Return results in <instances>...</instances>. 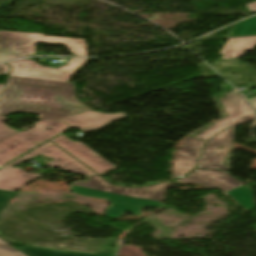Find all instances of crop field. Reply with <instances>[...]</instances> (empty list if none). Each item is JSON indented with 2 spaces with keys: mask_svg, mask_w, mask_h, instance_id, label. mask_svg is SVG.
I'll return each mask as SVG.
<instances>
[{
  "mask_svg": "<svg viewBox=\"0 0 256 256\" xmlns=\"http://www.w3.org/2000/svg\"><path fill=\"white\" fill-rule=\"evenodd\" d=\"M74 84L9 76L0 99V115L39 114L38 119L54 121L87 111L74 98Z\"/></svg>",
  "mask_w": 256,
  "mask_h": 256,
  "instance_id": "crop-field-1",
  "label": "crop field"
},
{
  "mask_svg": "<svg viewBox=\"0 0 256 256\" xmlns=\"http://www.w3.org/2000/svg\"><path fill=\"white\" fill-rule=\"evenodd\" d=\"M87 182L71 183V191L94 198L106 199L111 203L105 212L106 217L116 219L125 212L141 216L142 208H162L166 184H156L137 188L113 186L99 176L89 177Z\"/></svg>",
  "mask_w": 256,
  "mask_h": 256,
  "instance_id": "crop-field-2",
  "label": "crop field"
},
{
  "mask_svg": "<svg viewBox=\"0 0 256 256\" xmlns=\"http://www.w3.org/2000/svg\"><path fill=\"white\" fill-rule=\"evenodd\" d=\"M34 43L67 45L69 51L77 56H87L84 39L45 37L42 34L0 31V62L28 57L34 54Z\"/></svg>",
  "mask_w": 256,
  "mask_h": 256,
  "instance_id": "crop-field-3",
  "label": "crop field"
},
{
  "mask_svg": "<svg viewBox=\"0 0 256 256\" xmlns=\"http://www.w3.org/2000/svg\"><path fill=\"white\" fill-rule=\"evenodd\" d=\"M70 128L63 121H39L32 130L18 132L0 142V167L29 149Z\"/></svg>",
  "mask_w": 256,
  "mask_h": 256,
  "instance_id": "crop-field-4",
  "label": "crop field"
},
{
  "mask_svg": "<svg viewBox=\"0 0 256 256\" xmlns=\"http://www.w3.org/2000/svg\"><path fill=\"white\" fill-rule=\"evenodd\" d=\"M225 95L227 98L219 99V101L229 116L196 136L197 138L207 140L228 126L235 129L239 125L256 118L242 94L229 93Z\"/></svg>",
  "mask_w": 256,
  "mask_h": 256,
  "instance_id": "crop-field-5",
  "label": "crop field"
},
{
  "mask_svg": "<svg viewBox=\"0 0 256 256\" xmlns=\"http://www.w3.org/2000/svg\"><path fill=\"white\" fill-rule=\"evenodd\" d=\"M89 59H72L65 64L67 66H61L58 69H49L36 64L30 60H20L15 62H9L12 67L10 75L34 77L50 80L66 81L73 76L76 69L85 64Z\"/></svg>",
  "mask_w": 256,
  "mask_h": 256,
  "instance_id": "crop-field-6",
  "label": "crop field"
},
{
  "mask_svg": "<svg viewBox=\"0 0 256 256\" xmlns=\"http://www.w3.org/2000/svg\"><path fill=\"white\" fill-rule=\"evenodd\" d=\"M44 155L46 158L50 159L52 158L54 161L47 164L48 166L54 168L59 167L63 171H66L68 173H76L84 176H92L95 175L93 172H91L89 169H87L85 166H83L81 163L73 159L71 156H69L67 153L63 152L61 149H59L57 146L52 144L51 142H47L31 151L26 153L25 155L21 156L17 160L13 161L9 165L5 166L4 168H10L14 167L38 154Z\"/></svg>",
  "mask_w": 256,
  "mask_h": 256,
  "instance_id": "crop-field-7",
  "label": "crop field"
},
{
  "mask_svg": "<svg viewBox=\"0 0 256 256\" xmlns=\"http://www.w3.org/2000/svg\"><path fill=\"white\" fill-rule=\"evenodd\" d=\"M234 130L226 129L207 142L196 168L228 170L223 163L233 145ZM222 147L219 149L218 147Z\"/></svg>",
  "mask_w": 256,
  "mask_h": 256,
  "instance_id": "crop-field-8",
  "label": "crop field"
},
{
  "mask_svg": "<svg viewBox=\"0 0 256 256\" xmlns=\"http://www.w3.org/2000/svg\"><path fill=\"white\" fill-rule=\"evenodd\" d=\"M51 141L99 174L116 169V167L80 142H73L62 135Z\"/></svg>",
  "mask_w": 256,
  "mask_h": 256,
  "instance_id": "crop-field-9",
  "label": "crop field"
},
{
  "mask_svg": "<svg viewBox=\"0 0 256 256\" xmlns=\"http://www.w3.org/2000/svg\"><path fill=\"white\" fill-rule=\"evenodd\" d=\"M205 144V141L199 139L185 138L174 159L173 180L181 178L195 169Z\"/></svg>",
  "mask_w": 256,
  "mask_h": 256,
  "instance_id": "crop-field-10",
  "label": "crop field"
},
{
  "mask_svg": "<svg viewBox=\"0 0 256 256\" xmlns=\"http://www.w3.org/2000/svg\"><path fill=\"white\" fill-rule=\"evenodd\" d=\"M175 182H191L202 184L207 188H220L223 191L230 190L240 184L228 171L194 170L187 176L175 180Z\"/></svg>",
  "mask_w": 256,
  "mask_h": 256,
  "instance_id": "crop-field-11",
  "label": "crop field"
},
{
  "mask_svg": "<svg viewBox=\"0 0 256 256\" xmlns=\"http://www.w3.org/2000/svg\"><path fill=\"white\" fill-rule=\"evenodd\" d=\"M124 117H127L124 113L102 114L88 111L63 119V121L69 126L87 133L102 128L110 122Z\"/></svg>",
  "mask_w": 256,
  "mask_h": 256,
  "instance_id": "crop-field-12",
  "label": "crop field"
},
{
  "mask_svg": "<svg viewBox=\"0 0 256 256\" xmlns=\"http://www.w3.org/2000/svg\"><path fill=\"white\" fill-rule=\"evenodd\" d=\"M39 174H28L21 168L0 170V189L16 192L38 178Z\"/></svg>",
  "mask_w": 256,
  "mask_h": 256,
  "instance_id": "crop-field-13",
  "label": "crop field"
},
{
  "mask_svg": "<svg viewBox=\"0 0 256 256\" xmlns=\"http://www.w3.org/2000/svg\"><path fill=\"white\" fill-rule=\"evenodd\" d=\"M256 47V37L228 39L221 54H225L223 59L243 56L245 51H254Z\"/></svg>",
  "mask_w": 256,
  "mask_h": 256,
  "instance_id": "crop-field-14",
  "label": "crop field"
},
{
  "mask_svg": "<svg viewBox=\"0 0 256 256\" xmlns=\"http://www.w3.org/2000/svg\"><path fill=\"white\" fill-rule=\"evenodd\" d=\"M21 251L25 252L29 256H114L112 254H100V255H89L76 252L62 251V250H53V249H44L26 246Z\"/></svg>",
  "mask_w": 256,
  "mask_h": 256,
  "instance_id": "crop-field-15",
  "label": "crop field"
},
{
  "mask_svg": "<svg viewBox=\"0 0 256 256\" xmlns=\"http://www.w3.org/2000/svg\"><path fill=\"white\" fill-rule=\"evenodd\" d=\"M225 194L236 201L243 209H254L252 194L247 186H242Z\"/></svg>",
  "mask_w": 256,
  "mask_h": 256,
  "instance_id": "crop-field-16",
  "label": "crop field"
},
{
  "mask_svg": "<svg viewBox=\"0 0 256 256\" xmlns=\"http://www.w3.org/2000/svg\"><path fill=\"white\" fill-rule=\"evenodd\" d=\"M256 35V16L237 23L229 37Z\"/></svg>",
  "mask_w": 256,
  "mask_h": 256,
  "instance_id": "crop-field-17",
  "label": "crop field"
},
{
  "mask_svg": "<svg viewBox=\"0 0 256 256\" xmlns=\"http://www.w3.org/2000/svg\"><path fill=\"white\" fill-rule=\"evenodd\" d=\"M0 256H25L0 239Z\"/></svg>",
  "mask_w": 256,
  "mask_h": 256,
  "instance_id": "crop-field-18",
  "label": "crop field"
},
{
  "mask_svg": "<svg viewBox=\"0 0 256 256\" xmlns=\"http://www.w3.org/2000/svg\"><path fill=\"white\" fill-rule=\"evenodd\" d=\"M6 119H8V118L0 116V141L5 139L6 137L18 132V131L10 129L4 125V122Z\"/></svg>",
  "mask_w": 256,
  "mask_h": 256,
  "instance_id": "crop-field-19",
  "label": "crop field"
},
{
  "mask_svg": "<svg viewBox=\"0 0 256 256\" xmlns=\"http://www.w3.org/2000/svg\"><path fill=\"white\" fill-rule=\"evenodd\" d=\"M16 193L0 190V209L9 202Z\"/></svg>",
  "mask_w": 256,
  "mask_h": 256,
  "instance_id": "crop-field-20",
  "label": "crop field"
},
{
  "mask_svg": "<svg viewBox=\"0 0 256 256\" xmlns=\"http://www.w3.org/2000/svg\"><path fill=\"white\" fill-rule=\"evenodd\" d=\"M8 71L9 67L5 63L0 64V74L7 75Z\"/></svg>",
  "mask_w": 256,
  "mask_h": 256,
  "instance_id": "crop-field-21",
  "label": "crop field"
},
{
  "mask_svg": "<svg viewBox=\"0 0 256 256\" xmlns=\"http://www.w3.org/2000/svg\"><path fill=\"white\" fill-rule=\"evenodd\" d=\"M248 12H255L256 11V3L247 4Z\"/></svg>",
  "mask_w": 256,
  "mask_h": 256,
  "instance_id": "crop-field-22",
  "label": "crop field"
},
{
  "mask_svg": "<svg viewBox=\"0 0 256 256\" xmlns=\"http://www.w3.org/2000/svg\"><path fill=\"white\" fill-rule=\"evenodd\" d=\"M251 102H252V104H253V106H254V108L256 110V98L251 99Z\"/></svg>",
  "mask_w": 256,
  "mask_h": 256,
  "instance_id": "crop-field-23",
  "label": "crop field"
},
{
  "mask_svg": "<svg viewBox=\"0 0 256 256\" xmlns=\"http://www.w3.org/2000/svg\"><path fill=\"white\" fill-rule=\"evenodd\" d=\"M3 86H4V85H0V92H1V90H2V88H3Z\"/></svg>",
  "mask_w": 256,
  "mask_h": 256,
  "instance_id": "crop-field-24",
  "label": "crop field"
}]
</instances>
